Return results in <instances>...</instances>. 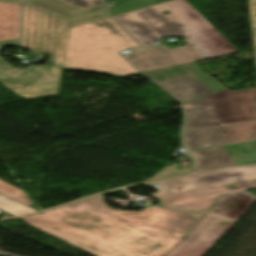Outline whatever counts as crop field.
<instances>
[{
  "mask_svg": "<svg viewBox=\"0 0 256 256\" xmlns=\"http://www.w3.org/2000/svg\"><path fill=\"white\" fill-rule=\"evenodd\" d=\"M103 194L23 217V222L96 256H164L205 214L148 206L115 211Z\"/></svg>",
  "mask_w": 256,
  "mask_h": 256,
  "instance_id": "crop-field-1",
  "label": "crop field"
},
{
  "mask_svg": "<svg viewBox=\"0 0 256 256\" xmlns=\"http://www.w3.org/2000/svg\"><path fill=\"white\" fill-rule=\"evenodd\" d=\"M144 74L183 103V130L256 120V88L230 92L197 62Z\"/></svg>",
  "mask_w": 256,
  "mask_h": 256,
  "instance_id": "crop-field-2",
  "label": "crop field"
},
{
  "mask_svg": "<svg viewBox=\"0 0 256 256\" xmlns=\"http://www.w3.org/2000/svg\"><path fill=\"white\" fill-rule=\"evenodd\" d=\"M163 10L158 11L156 8ZM170 12L169 15L160 14ZM114 16L121 25L144 48L153 46L151 42L160 36L177 35L188 37L185 41L204 59L237 53L186 0H173L134 12Z\"/></svg>",
  "mask_w": 256,
  "mask_h": 256,
  "instance_id": "crop-field-3",
  "label": "crop field"
},
{
  "mask_svg": "<svg viewBox=\"0 0 256 256\" xmlns=\"http://www.w3.org/2000/svg\"><path fill=\"white\" fill-rule=\"evenodd\" d=\"M140 47L109 18L69 29L63 67L102 71L113 75L137 73L120 57Z\"/></svg>",
  "mask_w": 256,
  "mask_h": 256,
  "instance_id": "crop-field-4",
  "label": "crop field"
},
{
  "mask_svg": "<svg viewBox=\"0 0 256 256\" xmlns=\"http://www.w3.org/2000/svg\"><path fill=\"white\" fill-rule=\"evenodd\" d=\"M152 184H160L162 188L156 189ZM143 185L158 191L151 195L160 199L162 207L206 212L221 194L255 188L256 165L227 168Z\"/></svg>",
  "mask_w": 256,
  "mask_h": 256,
  "instance_id": "crop-field-5",
  "label": "crop field"
},
{
  "mask_svg": "<svg viewBox=\"0 0 256 256\" xmlns=\"http://www.w3.org/2000/svg\"><path fill=\"white\" fill-rule=\"evenodd\" d=\"M183 138L196 172L256 163V121L186 130Z\"/></svg>",
  "mask_w": 256,
  "mask_h": 256,
  "instance_id": "crop-field-6",
  "label": "crop field"
},
{
  "mask_svg": "<svg viewBox=\"0 0 256 256\" xmlns=\"http://www.w3.org/2000/svg\"><path fill=\"white\" fill-rule=\"evenodd\" d=\"M67 20L24 5L22 7L21 46L32 52L52 54V64L63 61Z\"/></svg>",
  "mask_w": 256,
  "mask_h": 256,
  "instance_id": "crop-field-7",
  "label": "crop field"
},
{
  "mask_svg": "<svg viewBox=\"0 0 256 256\" xmlns=\"http://www.w3.org/2000/svg\"><path fill=\"white\" fill-rule=\"evenodd\" d=\"M235 222L206 215L167 256H202Z\"/></svg>",
  "mask_w": 256,
  "mask_h": 256,
  "instance_id": "crop-field-8",
  "label": "crop field"
},
{
  "mask_svg": "<svg viewBox=\"0 0 256 256\" xmlns=\"http://www.w3.org/2000/svg\"><path fill=\"white\" fill-rule=\"evenodd\" d=\"M125 58L141 72L203 59L189 45L171 50L161 45L131 53Z\"/></svg>",
  "mask_w": 256,
  "mask_h": 256,
  "instance_id": "crop-field-9",
  "label": "crop field"
},
{
  "mask_svg": "<svg viewBox=\"0 0 256 256\" xmlns=\"http://www.w3.org/2000/svg\"><path fill=\"white\" fill-rule=\"evenodd\" d=\"M26 5L68 19V28L108 17L103 4L83 9L60 0H34Z\"/></svg>",
  "mask_w": 256,
  "mask_h": 256,
  "instance_id": "crop-field-10",
  "label": "crop field"
},
{
  "mask_svg": "<svg viewBox=\"0 0 256 256\" xmlns=\"http://www.w3.org/2000/svg\"><path fill=\"white\" fill-rule=\"evenodd\" d=\"M61 69L51 68L29 86L2 81L5 87L22 98L35 99L58 93Z\"/></svg>",
  "mask_w": 256,
  "mask_h": 256,
  "instance_id": "crop-field-11",
  "label": "crop field"
},
{
  "mask_svg": "<svg viewBox=\"0 0 256 256\" xmlns=\"http://www.w3.org/2000/svg\"><path fill=\"white\" fill-rule=\"evenodd\" d=\"M255 200L246 192L221 196L208 214L237 221Z\"/></svg>",
  "mask_w": 256,
  "mask_h": 256,
  "instance_id": "crop-field-12",
  "label": "crop field"
},
{
  "mask_svg": "<svg viewBox=\"0 0 256 256\" xmlns=\"http://www.w3.org/2000/svg\"><path fill=\"white\" fill-rule=\"evenodd\" d=\"M49 67L36 66V67H26L23 70H18L12 67L7 62L0 61V81L7 80L11 82L21 83L29 85L44 72H46Z\"/></svg>",
  "mask_w": 256,
  "mask_h": 256,
  "instance_id": "crop-field-13",
  "label": "crop field"
},
{
  "mask_svg": "<svg viewBox=\"0 0 256 256\" xmlns=\"http://www.w3.org/2000/svg\"><path fill=\"white\" fill-rule=\"evenodd\" d=\"M19 5L0 2V41L18 38Z\"/></svg>",
  "mask_w": 256,
  "mask_h": 256,
  "instance_id": "crop-field-14",
  "label": "crop field"
},
{
  "mask_svg": "<svg viewBox=\"0 0 256 256\" xmlns=\"http://www.w3.org/2000/svg\"><path fill=\"white\" fill-rule=\"evenodd\" d=\"M0 209L4 212L16 216L35 212L33 209L0 193Z\"/></svg>",
  "mask_w": 256,
  "mask_h": 256,
  "instance_id": "crop-field-15",
  "label": "crop field"
},
{
  "mask_svg": "<svg viewBox=\"0 0 256 256\" xmlns=\"http://www.w3.org/2000/svg\"><path fill=\"white\" fill-rule=\"evenodd\" d=\"M0 192L20 201L28 206L33 204L21 189L15 187V186H12L2 180H0Z\"/></svg>",
  "mask_w": 256,
  "mask_h": 256,
  "instance_id": "crop-field-16",
  "label": "crop field"
},
{
  "mask_svg": "<svg viewBox=\"0 0 256 256\" xmlns=\"http://www.w3.org/2000/svg\"><path fill=\"white\" fill-rule=\"evenodd\" d=\"M191 172L192 171L190 168L178 170L176 166H167V167H164L163 169H161L158 173H156L154 176H152L149 180H155V179H160V178H165V177L188 174Z\"/></svg>",
  "mask_w": 256,
  "mask_h": 256,
  "instance_id": "crop-field-17",
  "label": "crop field"
},
{
  "mask_svg": "<svg viewBox=\"0 0 256 256\" xmlns=\"http://www.w3.org/2000/svg\"><path fill=\"white\" fill-rule=\"evenodd\" d=\"M248 1H249L253 45L255 49V58H256V0H248Z\"/></svg>",
  "mask_w": 256,
  "mask_h": 256,
  "instance_id": "crop-field-18",
  "label": "crop field"
},
{
  "mask_svg": "<svg viewBox=\"0 0 256 256\" xmlns=\"http://www.w3.org/2000/svg\"><path fill=\"white\" fill-rule=\"evenodd\" d=\"M63 1L75 4V5L83 7V8L102 4L101 0H63ZM93 1H95V2H93Z\"/></svg>",
  "mask_w": 256,
  "mask_h": 256,
  "instance_id": "crop-field-19",
  "label": "crop field"
},
{
  "mask_svg": "<svg viewBox=\"0 0 256 256\" xmlns=\"http://www.w3.org/2000/svg\"><path fill=\"white\" fill-rule=\"evenodd\" d=\"M0 45L3 46V47L4 46H9V45H18V39L0 42Z\"/></svg>",
  "mask_w": 256,
  "mask_h": 256,
  "instance_id": "crop-field-20",
  "label": "crop field"
},
{
  "mask_svg": "<svg viewBox=\"0 0 256 256\" xmlns=\"http://www.w3.org/2000/svg\"><path fill=\"white\" fill-rule=\"evenodd\" d=\"M0 1L20 4L28 0H0Z\"/></svg>",
  "mask_w": 256,
  "mask_h": 256,
  "instance_id": "crop-field-21",
  "label": "crop field"
},
{
  "mask_svg": "<svg viewBox=\"0 0 256 256\" xmlns=\"http://www.w3.org/2000/svg\"><path fill=\"white\" fill-rule=\"evenodd\" d=\"M107 1H111V0H105V2H107Z\"/></svg>",
  "mask_w": 256,
  "mask_h": 256,
  "instance_id": "crop-field-22",
  "label": "crop field"
},
{
  "mask_svg": "<svg viewBox=\"0 0 256 256\" xmlns=\"http://www.w3.org/2000/svg\"><path fill=\"white\" fill-rule=\"evenodd\" d=\"M1 48H2V47L0 46V50H1Z\"/></svg>",
  "mask_w": 256,
  "mask_h": 256,
  "instance_id": "crop-field-23",
  "label": "crop field"
}]
</instances>
